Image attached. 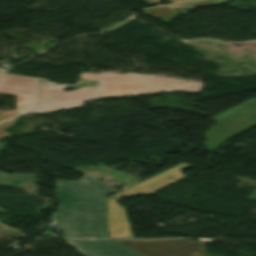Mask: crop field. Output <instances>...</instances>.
<instances>
[{"instance_id":"ac0d7876","label":"crop field","mask_w":256,"mask_h":256,"mask_svg":"<svg viewBox=\"0 0 256 256\" xmlns=\"http://www.w3.org/2000/svg\"><path fill=\"white\" fill-rule=\"evenodd\" d=\"M201 87L202 84L155 78L151 75L101 73L99 96L128 95L169 89L198 92Z\"/></svg>"},{"instance_id":"d1516ede","label":"crop field","mask_w":256,"mask_h":256,"mask_svg":"<svg viewBox=\"0 0 256 256\" xmlns=\"http://www.w3.org/2000/svg\"><path fill=\"white\" fill-rule=\"evenodd\" d=\"M81 79L100 80V74H87V73H82Z\"/></svg>"},{"instance_id":"e52e79f7","label":"crop field","mask_w":256,"mask_h":256,"mask_svg":"<svg viewBox=\"0 0 256 256\" xmlns=\"http://www.w3.org/2000/svg\"><path fill=\"white\" fill-rule=\"evenodd\" d=\"M64 240L83 256H138L111 240Z\"/></svg>"},{"instance_id":"cbeb9de0","label":"crop field","mask_w":256,"mask_h":256,"mask_svg":"<svg viewBox=\"0 0 256 256\" xmlns=\"http://www.w3.org/2000/svg\"><path fill=\"white\" fill-rule=\"evenodd\" d=\"M0 151H5V143H0Z\"/></svg>"},{"instance_id":"5a996713","label":"crop field","mask_w":256,"mask_h":256,"mask_svg":"<svg viewBox=\"0 0 256 256\" xmlns=\"http://www.w3.org/2000/svg\"><path fill=\"white\" fill-rule=\"evenodd\" d=\"M226 2L227 0H202V1L189 2V3L171 5V6H165V7H159V8L145 9V12L147 15L151 17L170 23L178 15L172 12L176 9L203 7V6L215 5V4L226 3Z\"/></svg>"},{"instance_id":"733c2abd","label":"crop field","mask_w":256,"mask_h":256,"mask_svg":"<svg viewBox=\"0 0 256 256\" xmlns=\"http://www.w3.org/2000/svg\"><path fill=\"white\" fill-rule=\"evenodd\" d=\"M2 71H0V74H1Z\"/></svg>"},{"instance_id":"34b2d1b8","label":"crop field","mask_w":256,"mask_h":256,"mask_svg":"<svg viewBox=\"0 0 256 256\" xmlns=\"http://www.w3.org/2000/svg\"><path fill=\"white\" fill-rule=\"evenodd\" d=\"M66 87L40 83L38 86L39 100L36 102V107L34 110L26 111L25 113L81 107L82 102L99 98V84L97 83H94L93 87L85 86L72 92L62 91Z\"/></svg>"},{"instance_id":"d8731c3e","label":"crop field","mask_w":256,"mask_h":256,"mask_svg":"<svg viewBox=\"0 0 256 256\" xmlns=\"http://www.w3.org/2000/svg\"><path fill=\"white\" fill-rule=\"evenodd\" d=\"M119 199L106 198L108 210V237L132 238L125 209L118 205Z\"/></svg>"},{"instance_id":"3316defc","label":"crop field","mask_w":256,"mask_h":256,"mask_svg":"<svg viewBox=\"0 0 256 256\" xmlns=\"http://www.w3.org/2000/svg\"><path fill=\"white\" fill-rule=\"evenodd\" d=\"M0 180L34 181V174H7L0 172Z\"/></svg>"},{"instance_id":"8a807250","label":"crop field","mask_w":256,"mask_h":256,"mask_svg":"<svg viewBox=\"0 0 256 256\" xmlns=\"http://www.w3.org/2000/svg\"><path fill=\"white\" fill-rule=\"evenodd\" d=\"M118 192L87 176L78 182L57 181L56 230L63 237L106 238L104 196Z\"/></svg>"},{"instance_id":"f4fd0767","label":"crop field","mask_w":256,"mask_h":256,"mask_svg":"<svg viewBox=\"0 0 256 256\" xmlns=\"http://www.w3.org/2000/svg\"><path fill=\"white\" fill-rule=\"evenodd\" d=\"M189 167L191 166L185 163H182L174 168H171L135 186H132L116 195H112L109 197L124 198V197L152 194L162 188H165L175 182H178L186 178L185 176L181 175L180 172Z\"/></svg>"},{"instance_id":"dd49c442","label":"crop field","mask_w":256,"mask_h":256,"mask_svg":"<svg viewBox=\"0 0 256 256\" xmlns=\"http://www.w3.org/2000/svg\"><path fill=\"white\" fill-rule=\"evenodd\" d=\"M37 85L36 79L3 75L0 79V93L19 95V109L30 110L34 109L38 100Z\"/></svg>"},{"instance_id":"d9b57169","label":"crop field","mask_w":256,"mask_h":256,"mask_svg":"<svg viewBox=\"0 0 256 256\" xmlns=\"http://www.w3.org/2000/svg\"><path fill=\"white\" fill-rule=\"evenodd\" d=\"M165 2H178V1H184V0H164Z\"/></svg>"},{"instance_id":"5142ce71","label":"crop field","mask_w":256,"mask_h":256,"mask_svg":"<svg viewBox=\"0 0 256 256\" xmlns=\"http://www.w3.org/2000/svg\"><path fill=\"white\" fill-rule=\"evenodd\" d=\"M14 112H18V110L7 111V112H2V111H0V115H1V114H7V113H14Z\"/></svg>"},{"instance_id":"22f410ed","label":"crop field","mask_w":256,"mask_h":256,"mask_svg":"<svg viewBox=\"0 0 256 256\" xmlns=\"http://www.w3.org/2000/svg\"><path fill=\"white\" fill-rule=\"evenodd\" d=\"M16 115H18V113L7 114V115H1V116H0V121L6 120V119H10V118H12V117H14V116H16Z\"/></svg>"},{"instance_id":"28ad6ade","label":"crop field","mask_w":256,"mask_h":256,"mask_svg":"<svg viewBox=\"0 0 256 256\" xmlns=\"http://www.w3.org/2000/svg\"><path fill=\"white\" fill-rule=\"evenodd\" d=\"M15 121H16V118H15V119H12V120H9V121H6V122H2V123L0 124V139H1V138H6V137H8V133H6L5 131H3L2 129L12 126V124H13Z\"/></svg>"},{"instance_id":"412701ff","label":"crop field","mask_w":256,"mask_h":256,"mask_svg":"<svg viewBox=\"0 0 256 256\" xmlns=\"http://www.w3.org/2000/svg\"><path fill=\"white\" fill-rule=\"evenodd\" d=\"M115 241L141 256H203L206 248L191 239Z\"/></svg>"}]
</instances>
